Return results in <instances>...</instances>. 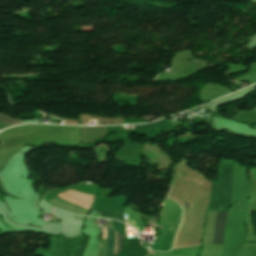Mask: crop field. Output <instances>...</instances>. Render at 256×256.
<instances>
[{"instance_id":"1","label":"crop field","mask_w":256,"mask_h":256,"mask_svg":"<svg viewBox=\"0 0 256 256\" xmlns=\"http://www.w3.org/2000/svg\"><path fill=\"white\" fill-rule=\"evenodd\" d=\"M104 238L107 239V228H104ZM112 239H113V230L108 228L107 256H112ZM124 240H125L124 234L117 231V252H122ZM114 250H115V231H114V239H113V256H114Z\"/></svg>"},{"instance_id":"2","label":"crop field","mask_w":256,"mask_h":256,"mask_svg":"<svg viewBox=\"0 0 256 256\" xmlns=\"http://www.w3.org/2000/svg\"><path fill=\"white\" fill-rule=\"evenodd\" d=\"M228 212H218L213 244H222Z\"/></svg>"},{"instance_id":"3","label":"crop field","mask_w":256,"mask_h":256,"mask_svg":"<svg viewBox=\"0 0 256 256\" xmlns=\"http://www.w3.org/2000/svg\"><path fill=\"white\" fill-rule=\"evenodd\" d=\"M20 123H21L20 120L7 118L0 114V130L4 129L6 127L20 124Z\"/></svg>"},{"instance_id":"4","label":"crop field","mask_w":256,"mask_h":256,"mask_svg":"<svg viewBox=\"0 0 256 256\" xmlns=\"http://www.w3.org/2000/svg\"><path fill=\"white\" fill-rule=\"evenodd\" d=\"M58 195H60V196H62L61 194H59L58 193ZM62 197H64V196H62ZM65 198H68V199H70V200H73V201H76V202H78V203H81V204H84V205H86V206H91V202H87V201H84V200H81V199H77V198H74V197H71V196H65Z\"/></svg>"}]
</instances>
